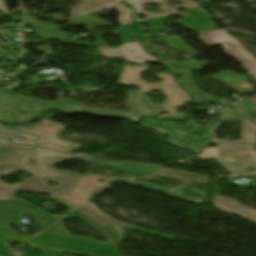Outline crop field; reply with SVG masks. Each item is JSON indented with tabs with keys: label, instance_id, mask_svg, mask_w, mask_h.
<instances>
[{
	"label": "crop field",
	"instance_id": "a9b5d70f",
	"mask_svg": "<svg viewBox=\"0 0 256 256\" xmlns=\"http://www.w3.org/2000/svg\"><path fill=\"white\" fill-rule=\"evenodd\" d=\"M115 9L120 13V16L118 17L120 25L132 23V20L129 17L131 10L126 9L124 4L115 7Z\"/></svg>",
	"mask_w": 256,
	"mask_h": 256
},
{
	"label": "crop field",
	"instance_id": "412701ff",
	"mask_svg": "<svg viewBox=\"0 0 256 256\" xmlns=\"http://www.w3.org/2000/svg\"><path fill=\"white\" fill-rule=\"evenodd\" d=\"M186 122V126H177L171 121L158 122L154 119L146 118L141 125L154 128L156 131L169 136V142L176 146L199 153L201 149L211 140L210 129L213 126L199 127L192 119H189ZM191 130L201 132L202 137H195L191 134ZM183 134H186V136ZM190 135L193 137H190Z\"/></svg>",
	"mask_w": 256,
	"mask_h": 256
},
{
	"label": "crop field",
	"instance_id": "730fd06b",
	"mask_svg": "<svg viewBox=\"0 0 256 256\" xmlns=\"http://www.w3.org/2000/svg\"><path fill=\"white\" fill-rule=\"evenodd\" d=\"M178 24L185 27V28H188V29H191V30H195V31H198V32H203L205 30H203L202 28L196 26L195 24L193 23H186L185 20L181 19L178 21Z\"/></svg>",
	"mask_w": 256,
	"mask_h": 256
},
{
	"label": "crop field",
	"instance_id": "eef30255",
	"mask_svg": "<svg viewBox=\"0 0 256 256\" xmlns=\"http://www.w3.org/2000/svg\"><path fill=\"white\" fill-rule=\"evenodd\" d=\"M239 117L231 108L226 110L223 115V119Z\"/></svg>",
	"mask_w": 256,
	"mask_h": 256
},
{
	"label": "crop field",
	"instance_id": "5142ce71",
	"mask_svg": "<svg viewBox=\"0 0 256 256\" xmlns=\"http://www.w3.org/2000/svg\"><path fill=\"white\" fill-rule=\"evenodd\" d=\"M120 2V0H90L82 6L74 9L71 12L72 15H85L91 13L96 10L110 8L116 3Z\"/></svg>",
	"mask_w": 256,
	"mask_h": 256
},
{
	"label": "crop field",
	"instance_id": "22f410ed",
	"mask_svg": "<svg viewBox=\"0 0 256 256\" xmlns=\"http://www.w3.org/2000/svg\"><path fill=\"white\" fill-rule=\"evenodd\" d=\"M174 1H184V6L172 9L165 5V3H167V2H174ZM127 4H131L132 8L135 9L136 13L134 16H135L137 22L144 21V20L138 19V17H137L138 14H142L143 16H145L147 18L146 20H148V19H153V18L177 13L176 10H179V9L190 10V9L198 7V5L194 2H191V0H132V1L128 2ZM146 4H157L158 6L161 7V11L164 13L161 15L155 16L153 14L143 12L142 6H144Z\"/></svg>",
	"mask_w": 256,
	"mask_h": 256
},
{
	"label": "crop field",
	"instance_id": "00972430",
	"mask_svg": "<svg viewBox=\"0 0 256 256\" xmlns=\"http://www.w3.org/2000/svg\"><path fill=\"white\" fill-rule=\"evenodd\" d=\"M254 139L256 140V124L247 119H243V129L241 140Z\"/></svg>",
	"mask_w": 256,
	"mask_h": 256
},
{
	"label": "crop field",
	"instance_id": "1d83c4d3",
	"mask_svg": "<svg viewBox=\"0 0 256 256\" xmlns=\"http://www.w3.org/2000/svg\"><path fill=\"white\" fill-rule=\"evenodd\" d=\"M129 1V0H126V2Z\"/></svg>",
	"mask_w": 256,
	"mask_h": 256
},
{
	"label": "crop field",
	"instance_id": "34b2d1b8",
	"mask_svg": "<svg viewBox=\"0 0 256 256\" xmlns=\"http://www.w3.org/2000/svg\"><path fill=\"white\" fill-rule=\"evenodd\" d=\"M214 144L219 147L205 149L200 156L202 159L214 157L229 171L232 172L230 177L255 175L243 171L244 167L252 166L250 162L254 163L256 168V151L251 141H242L235 143H224L222 141H214Z\"/></svg>",
	"mask_w": 256,
	"mask_h": 256
},
{
	"label": "crop field",
	"instance_id": "4a817a6b",
	"mask_svg": "<svg viewBox=\"0 0 256 256\" xmlns=\"http://www.w3.org/2000/svg\"><path fill=\"white\" fill-rule=\"evenodd\" d=\"M104 33H112L120 36L122 38L123 43L138 41L136 35L131 29V24L120 26L119 29L116 31L104 32ZM104 33H96V36H97L96 38L98 42L94 44L95 47L106 46V44L103 42V40L100 37Z\"/></svg>",
	"mask_w": 256,
	"mask_h": 256
},
{
	"label": "crop field",
	"instance_id": "bd1437ed",
	"mask_svg": "<svg viewBox=\"0 0 256 256\" xmlns=\"http://www.w3.org/2000/svg\"><path fill=\"white\" fill-rule=\"evenodd\" d=\"M60 41L65 42V43H70V42L75 41V40H73L69 37H66V38L60 39Z\"/></svg>",
	"mask_w": 256,
	"mask_h": 256
},
{
	"label": "crop field",
	"instance_id": "dd49c442",
	"mask_svg": "<svg viewBox=\"0 0 256 256\" xmlns=\"http://www.w3.org/2000/svg\"><path fill=\"white\" fill-rule=\"evenodd\" d=\"M199 37L205 44L211 46L220 44L227 45L229 48L223 52L240 61L244 69L256 79V60L252 58L239 42L229 37L226 32L222 30L208 31L200 33Z\"/></svg>",
	"mask_w": 256,
	"mask_h": 256
},
{
	"label": "crop field",
	"instance_id": "bc2a9ffb",
	"mask_svg": "<svg viewBox=\"0 0 256 256\" xmlns=\"http://www.w3.org/2000/svg\"><path fill=\"white\" fill-rule=\"evenodd\" d=\"M156 175L172 177V178H181V179H186V180H190V181H195L198 183L208 184V177L185 173V172L174 171V170H169V169H164V168L159 169V171Z\"/></svg>",
	"mask_w": 256,
	"mask_h": 256
},
{
	"label": "crop field",
	"instance_id": "d8731c3e",
	"mask_svg": "<svg viewBox=\"0 0 256 256\" xmlns=\"http://www.w3.org/2000/svg\"><path fill=\"white\" fill-rule=\"evenodd\" d=\"M76 211H78V212L82 213L83 215L89 217L90 219H92L93 221H95L97 224H99L102 227L110 225L111 227H113L120 234L123 233V230H121L120 228H127V229H131V230H135V231H139V232H143V233H147V234H151V235H155V236H159V237H163V238H167V239H170V238L173 237L171 235H166V234H162V233L143 230V229H139V228L134 227V226H130V225H127V224H124V223H120V222L114 220L113 218H111V217H109L105 214H102L98 210V208L89 201L87 203H85L83 206H81L80 208H78Z\"/></svg>",
	"mask_w": 256,
	"mask_h": 256
},
{
	"label": "crop field",
	"instance_id": "d1516ede",
	"mask_svg": "<svg viewBox=\"0 0 256 256\" xmlns=\"http://www.w3.org/2000/svg\"><path fill=\"white\" fill-rule=\"evenodd\" d=\"M172 73L183 75L184 79L180 80V83L184 88L194 97L196 102H209L214 103L215 98L207 96L196 88H194L189 82L190 73L189 70H200L201 66L208 65L206 62H183V63H166ZM191 71V70H190Z\"/></svg>",
	"mask_w": 256,
	"mask_h": 256
},
{
	"label": "crop field",
	"instance_id": "92a150f3",
	"mask_svg": "<svg viewBox=\"0 0 256 256\" xmlns=\"http://www.w3.org/2000/svg\"><path fill=\"white\" fill-rule=\"evenodd\" d=\"M72 22L74 25L76 24H86L87 31H94V26H108L112 27V25L102 19L94 18L92 16L86 17H73Z\"/></svg>",
	"mask_w": 256,
	"mask_h": 256
},
{
	"label": "crop field",
	"instance_id": "ae1a2a85",
	"mask_svg": "<svg viewBox=\"0 0 256 256\" xmlns=\"http://www.w3.org/2000/svg\"><path fill=\"white\" fill-rule=\"evenodd\" d=\"M0 54L6 56L7 60H15L17 55L11 54L9 52H7L6 50H4L3 48L0 47Z\"/></svg>",
	"mask_w": 256,
	"mask_h": 256
},
{
	"label": "crop field",
	"instance_id": "f4fd0767",
	"mask_svg": "<svg viewBox=\"0 0 256 256\" xmlns=\"http://www.w3.org/2000/svg\"><path fill=\"white\" fill-rule=\"evenodd\" d=\"M53 116L51 114L44 121L32 127H15V130L41 135L37 143V146L40 147H45L61 152H68L81 146L79 144L57 139L58 135L60 134V130H65L67 126L49 121Z\"/></svg>",
	"mask_w": 256,
	"mask_h": 256
},
{
	"label": "crop field",
	"instance_id": "3316defc",
	"mask_svg": "<svg viewBox=\"0 0 256 256\" xmlns=\"http://www.w3.org/2000/svg\"><path fill=\"white\" fill-rule=\"evenodd\" d=\"M100 54L109 60L123 57L132 63H141L147 61L159 60L158 58L148 54L139 42L123 44L122 47L111 49L109 47L97 48Z\"/></svg>",
	"mask_w": 256,
	"mask_h": 256
},
{
	"label": "crop field",
	"instance_id": "4177f3b9",
	"mask_svg": "<svg viewBox=\"0 0 256 256\" xmlns=\"http://www.w3.org/2000/svg\"><path fill=\"white\" fill-rule=\"evenodd\" d=\"M145 47L151 51L152 53H154L155 55L161 57L163 60L165 61H172L169 57H167L164 53L160 52L159 50H157L150 42L149 40H145L143 41Z\"/></svg>",
	"mask_w": 256,
	"mask_h": 256
},
{
	"label": "crop field",
	"instance_id": "8a807250",
	"mask_svg": "<svg viewBox=\"0 0 256 256\" xmlns=\"http://www.w3.org/2000/svg\"><path fill=\"white\" fill-rule=\"evenodd\" d=\"M147 66H128L124 65L120 78V85L133 84L139 85L138 92L127 93L128 97L125 101L131 111V115L121 114L120 112L99 109L82 108L78 103L70 100H58L54 103L38 102L26 98H10L9 91L0 89V121L12 123H25L29 119L43 114L46 109H56L64 111H83L92 114L121 116L137 120L139 116H152L158 114L162 110L169 112V116L163 118H183V115L176 112L174 107L182 104L192 103L188 94L179 88L174 78L169 74H155L162 78V83L147 84L140 77L139 73L146 70ZM149 90H162L165 92L168 102L164 106H152L145 95ZM163 92V93H164ZM20 104L31 105V109H19ZM2 116V117H1Z\"/></svg>",
	"mask_w": 256,
	"mask_h": 256
},
{
	"label": "crop field",
	"instance_id": "28ad6ade",
	"mask_svg": "<svg viewBox=\"0 0 256 256\" xmlns=\"http://www.w3.org/2000/svg\"><path fill=\"white\" fill-rule=\"evenodd\" d=\"M181 180V179H180ZM131 185L142 186L145 188L164 191L167 193V196L182 199L185 201L202 204L207 195L198 191L195 184L190 181L181 180L183 185L180 187L172 188V189H164L155 185L139 183L131 180H122Z\"/></svg>",
	"mask_w": 256,
	"mask_h": 256
},
{
	"label": "crop field",
	"instance_id": "d3111659",
	"mask_svg": "<svg viewBox=\"0 0 256 256\" xmlns=\"http://www.w3.org/2000/svg\"><path fill=\"white\" fill-rule=\"evenodd\" d=\"M0 11L3 12V13H8L4 0H0Z\"/></svg>",
	"mask_w": 256,
	"mask_h": 256
},
{
	"label": "crop field",
	"instance_id": "214f88e0",
	"mask_svg": "<svg viewBox=\"0 0 256 256\" xmlns=\"http://www.w3.org/2000/svg\"><path fill=\"white\" fill-rule=\"evenodd\" d=\"M8 138H17L20 140L19 143L34 145L38 137L16 133L8 128L3 127L2 124H0V139Z\"/></svg>",
	"mask_w": 256,
	"mask_h": 256
},
{
	"label": "crop field",
	"instance_id": "733c2abd",
	"mask_svg": "<svg viewBox=\"0 0 256 256\" xmlns=\"http://www.w3.org/2000/svg\"><path fill=\"white\" fill-rule=\"evenodd\" d=\"M214 78L228 84L229 86L241 92H246L251 90L250 86L244 81V79H242L241 77H239L238 75L234 74L231 71L222 72L214 76ZM243 85H246L248 88L243 87Z\"/></svg>",
	"mask_w": 256,
	"mask_h": 256
},
{
	"label": "crop field",
	"instance_id": "5a996713",
	"mask_svg": "<svg viewBox=\"0 0 256 256\" xmlns=\"http://www.w3.org/2000/svg\"><path fill=\"white\" fill-rule=\"evenodd\" d=\"M188 16L183 17L179 14H175L176 16H179L181 18L190 20L208 30H214V29H220L217 26L213 25L210 23L211 20V16L204 13L201 9L199 10H195L192 12H188ZM172 16V15H170ZM169 16L166 17H162V18H157V19H153V20H149V21H144L145 23H147L149 25V28L147 30L153 31L155 32L160 38H164L166 37L165 35L161 34L159 31L164 30L166 32H168L167 30L163 29L162 26L164 24V22H166L165 20L168 19ZM139 23H135V29L137 30V32L139 33V35L141 36L142 40L148 39L143 33L142 31H144V29H141L138 27Z\"/></svg>",
	"mask_w": 256,
	"mask_h": 256
},
{
	"label": "crop field",
	"instance_id": "ac0d7876",
	"mask_svg": "<svg viewBox=\"0 0 256 256\" xmlns=\"http://www.w3.org/2000/svg\"><path fill=\"white\" fill-rule=\"evenodd\" d=\"M9 148L11 154L0 153V175L19 169L35 175L34 178L23 181L20 185L11 186L0 181V200L12 199L18 191H30L45 195H65L71 192L79 176L60 171L52 166L62 160L81 159L92 161L93 158L74 154H61L54 151L36 148L30 158L33 147L23 145H0V148ZM57 181V188H51L45 183Z\"/></svg>",
	"mask_w": 256,
	"mask_h": 256
},
{
	"label": "crop field",
	"instance_id": "750c4746",
	"mask_svg": "<svg viewBox=\"0 0 256 256\" xmlns=\"http://www.w3.org/2000/svg\"><path fill=\"white\" fill-rule=\"evenodd\" d=\"M74 45L93 46V44H89V43H85V42H80V41L75 42Z\"/></svg>",
	"mask_w": 256,
	"mask_h": 256
},
{
	"label": "crop field",
	"instance_id": "d9b57169",
	"mask_svg": "<svg viewBox=\"0 0 256 256\" xmlns=\"http://www.w3.org/2000/svg\"><path fill=\"white\" fill-rule=\"evenodd\" d=\"M27 25L33 28L38 29L36 36L40 37L45 41L54 40L55 38H63L66 36H70L67 32L58 31L59 28L49 26V25H41L38 23L27 21Z\"/></svg>",
	"mask_w": 256,
	"mask_h": 256
},
{
	"label": "crop field",
	"instance_id": "e52e79f7",
	"mask_svg": "<svg viewBox=\"0 0 256 256\" xmlns=\"http://www.w3.org/2000/svg\"><path fill=\"white\" fill-rule=\"evenodd\" d=\"M98 179L103 180L104 183L96 182ZM108 180H116V178L102 177L87 173L80 178L70 195L56 197L75 208L89 197H91L94 193H98L104 187L109 185L106 182ZM69 198H73V200Z\"/></svg>",
	"mask_w": 256,
	"mask_h": 256
},
{
	"label": "crop field",
	"instance_id": "dafd665d",
	"mask_svg": "<svg viewBox=\"0 0 256 256\" xmlns=\"http://www.w3.org/2000/svg\"><path fill=\"white\" fill-rule=\"evenodd\" d=\"M161 40H163L165 43H167L170 48H173L177 51L186 53L190 56H193V55L197 54L192 49H190L187 45H185L183 43L182 39L177 37V36L164 38V39H161Z\"/></svg>",
	"mask_w": 256,
	"mask_h": 256
},
{
	"label": "crop field",
	"instance_id": "cbeb9de0",
	"mask_svg": "<svg viewBox=\"0 0 256 256\" xmlns=\"http://www.w3.org/2000/svg\"><path fill=\"white\" fill-rule=\"evenodd\" d=\"M214 207L226 212L237 214L245 219L256 223V210L245 207L229 198L215 196L213 200Z\"/></svg>",
	"mask_w": 256,
	"mask_h": 256
}]
</instances>
